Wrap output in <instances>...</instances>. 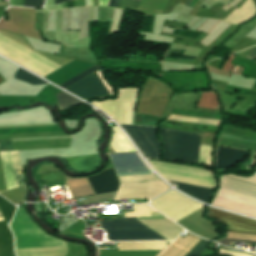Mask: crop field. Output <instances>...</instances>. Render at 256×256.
<instances>
[{"label": "crop field", "mask_w": 256, "mask_h": 256, "mask_svg": "<svg viewBox=\"0 0 256 256\" xmlns=\"http://www.w3.org/2000/svg\"><path fill=\"white\" fill-rule=\"evenodd\" d=\"M134 212L124 213L126 217L150 216V211L145 205H133Z\"/></svg>", "instance_id": "crop-field-31"}, {"label": "crop field", "mask_w": 256, "mask_h": 256, "mask_svg": "<svg viewBox=\"0 0 256 256\" xmlns=\"http://www.w3.org/2000/svg\"><path fill=\"white\" fill-rule=\"evenodd\" d=\"M56 97H57V101H58V105H59L60 109L68 108L73 105L82 103V102L74 99L73 97L65 94L64 92L57 94Z\"/></svg>", "instance_id": "crop-field-27"}, {"label": "crop field", "mask_w": 256, "mask_h": 256, "mask_svg": "<svg viewBox=\"0 0 256 256\" xmlns=\"http://www.w3.org/2000/svg\"><path fill=\"white\" fill-rule=\"evenodd\" d=\"M207 217L215 218L227 226V231L256 234V221L222 212L208 207Z\"/></svg>", "instance_id": "crop-field-11"}, {"label": "crop field", "mask_w": 256, "mask_h": 256, "mask_svg": "<svg viewBox=\"0 0 256 256\" xmlns=\"http://www.w3.org/2000/svg\"><path fill=\"white\" fill-rule=\"evenodd\" d=\"M221 251L223 254H227V255H233V256H250L244 253H239V252H235V251H231V250H227V249H223L221 248Z\"/></svg>", "instance_id": "crop-field-35"}, {"label": "crop field", "mask_w": 256, "mask_h": 256, "mask_svg": "<svg viewBox=\"0 0 256 256\" xmlns=\"http://www.w3.org/2000/svg\"><path fill=\"white\" fill-rule=\"evenodd\" d=\"M164 158L197 161L200 136L161 128Z\"/></svg>", "instance_id": "crop-field-4"}, {"label": "crop field", "mask_w": 256, "mask_h": 256, "mask_svg": "<svg viewBox=\"0 0 256 256\" xmlns=\"http://www.w3.org/2000/svg\"><path fill=\"white\" fill-rule=\"evenodd\" d=\"M150 203L151 206L175 222L202 208V205L186 198L174 190L166 193L165 195Z\"/></svg>", "instance_id": "crop-field-6"}, {"label": "crop field", "mask_w": 256, "mask_h": 256, "mask_svg": "<svg viewBox=\"0 0 256 256\" xmlns=\"http://www.w3.org/2000/svg\"><path fill=\"white\" fill-rule=\"evenodd\" d=\"M169 187L162 182L120 185L116 200L152 199L165 192Z\"/></svg>", "instance_id": "crop-field-9"}, {"label": "crop field", "mask_w": 256, "mask_h": 256, "mask_svg": "<svg viewBox=\"0 0 256 256\" xmlns=\"http://www.w3.org/2000/svg\"><path fill=\"white\" fill-rule=\"evenodd\" d=\"M120 184L160 181L154 175L118 177Z\"/></svg>", "instance_id": "crop-field-25"}, {"label": "crop field", "mask_w": 256, "mask_h": 256, "mask_svg": "<svg viewBox=\"0 0 256 256\" xmlns=\"http://www.w3.org/2000/svg\"><path fill=\"white\" fill-rule=\"evenodd\" d=\"M136 91L137 89H119L118 99L105 102L92 101L91 104L113 117L118 123L131 124Z\"/></svg>", "instance_id": "crop-field-7"}, {"label": "crop field", "mask_w": 256, "mask_h": 256, "mask_svg": "<svg viewBox=\"0 0 256 256\" xmlns=\"http://www.w3.org/2000/svg\"><path fill=\"white\" fill-rule=\"evenodd\" d=\"M120 0H114L112 7H117Z\"/></svg>", "instance_id": "crop-field-39"}, {"label": "crop field", "mask_w": 256, "mask_h": 256, "mask_svg": "<svg viewBox=\"0 0 256 256\" xmlns=\"http://www.w3.org/2000/svg\"><path fill=\"white\" fill-rule=\"evenodd\" d=\"M187 0H181L179 3L185 5Z\"/></svg>", "instance_id": "crop-field-43"}, {"label": "crop field", "mask_w": 256, "mask_h": 256, "mask_svg": "<svg viewBox=\"0 0 256 256\" xmlns=\"http://www.w3.org/2000/svg\"><path fill=\"white\" fill-rule=\"evenodd\" d=\"M65 1H68V0H54V4L62 3V2H65Z\"/></svg>", "instance_id": "crop-field-40"}, {"label": "crop field", "mask_w": 256, "mask_h": 256, "mask_svg": "<svg viewBox=\"0 0 256 256\" xmlns=\"http://www.w3.org/2000/svg\"><path fill=\"white\" fill-rule=\"evenodd\" d=\"M3 81L1 78H0V82Z\"/></svg>", "instance_id": "crop-field-46"}, {"label": "crop field", "mask_w": 256, "mask_h": 256, "mask_svg": "<svg viewBox=\"0 0 256 256\" xmlns=\"http://www.w3.org/2000/svg\"><path fill=\"white\" fill-rule=\"evenodd\" d=\"M139 220L165 219L163 217L138 218ZM143 224L164 236L168 240H174L182 231L178 225L169 220L141 221Z\"/></svg>", "instance_id": "crop-field-15"}, {"label": "crop field", "mask_w": 256, "mask_h": 256, "mask_svg": "<svg viewBox=\"0 0 256 256\" xmlns=\"http://www.w3.org/2000/svg\"><path fill=\"white\" fill-rule=\"evenodd\" d=\"M132 137L146 158L160 159L156 127L121 125Z\"/></svg>", "instance_id": "crop-field-8"}, {"label": "crop field", "mask_w": 256, "mask_h": 256, "mask_svg": "<svg viewBox=\"0 0 256 256\" xmlns=\"http://www.w3.org/2000/svg\"><path fill=\"white\" fill-rule=\"evenodd\" d=\"M168 119L169 120H177V121H185V122H193V123H201V124H209V125H217V126H220V124L222 122V121H217V120L183 117V116H175V115H170Z\"/></svg>", "instance_id": "crop-field-26"}, {"label": "crop field", "mask_w": 256, "mask_h": 256, "mask_svg": "<svg viewBox=\"0 0 256 256\" xmlns=\"http://www.w3.org/2000/svg\"><path fill=\"white\" fill-rule=\"evenodd\" d=\"M98 69H100V66H99V65H96V66H94V67L88 69L87 71H85V72H83V73L77 75L76 77H74V78L68 80L67 82H65V83H63V84H61V85H59V86H61L62 88L65 89V88L71 86L72 84H74V83H76L77 81L83 79L84 77L88 76L89 74H91L92 72H94V71H96V70H98Z\"/></svg>", "instance_id": "crop-field-30"}, {"label": "crop field", "mask_w": 256, "mask_h": 256, "mask_svg": "<svg viewBox=\"0 0 256 256\" xmlns=\"http://www.w3.org/2000/svg\"><path fill=\"white\" fill-rule=\"evenodd\" d=\"M151 216H162V215L157 212H153V213H151Z\"/></svg>", "instance_id": "crop-field-41"}, {"label": "crop field", "mask_w": 256, "mask_h": 256, "mask_svg": "<svg viewBox=\"0 0 256 256\" xmlns=\"http://www.w3.org/2000/svg\"><path fill=\"white\" fill-rule=\"evenodd\" d=\"M15 79L30 83L32 85H37V84H47L41 80H39L38 78L30 75L29 73L21 70L20 68L18 69V71L15 73L14 75Z\"/></svg>", "instance_id": "crop-field-28"}, {"label": "crop field", "mask_w": 256, "mask_h": 256, "mask_svg": "<svg viewBox=\"0 0 256 256\" xmlns=\"http://www.w3.org/2000/svg\"><path fill=\"white\" fill-rule=\"evenodd\" d=\"M5 190H6V188H5L2 165H1V160H0V192L5 191Z\"/></svg>", "instance_id": "crop-field-37"}, {"label": "crop field", "mask_w": 256, "mask_h": 256, "mask_svg": "<svg viewBox=\"0 0 256 256\" xmlns=\"http://www.w3.org/2000/svg\"><path fill=\"white\" fill-rule=\"evenodd\" d=\"M15 207L12 206L8 201L4 198L0 197V210L4 216L6 223H8L12 217L13 211Z\"/></svg>", "instance_id": "crop-field-29"}, {"label": "crop field", "mask_w": 256, "mask_h": 256, "mask_svg": "<svg viewBox=\"0 0 256 256\" xmlns=\"http://www.w3.org/2000/svg\"><path fill=\"white\" fill-rule=\"evenodd\" d=\"M218 192L211 205L256 217V174L247 178L234 175L219 177Z\"/></svg>", "instance_id": "crop-field-2"}, {"label": "crop field", "mask_w": 256, "mask_h": 256, "mask_svg": "<svg viewBox=\"0 0 256 256\" xmlns=\"http://www.w3.org/2000/svg\"><path fill=\"white\" fill-rule=\"evenodd\" d=\"M206 242V240L201 239V241L194 248H192L186 256L197 255L204 248Z\"/></svg>", "instance_id": "crop-field-33"}, {"label": "crop field", "mask_w": 256, "mask_h": 256, "mask_svg": "<svg viewBox=\"0 0 256 256\" xmlns=\"http://www.w3.org/2000/svg\"><path fill=\"white\" fill-rule=\"evenodd\" d=\"M119 251L152 250L166 248L164 241L154 242H118Z\"/></svg>", "instance_id": "crop-field-21"}, {"label": "crop field", "mask_w": 256, "mask_h": 256, "mask_svg": "<svg viewBox=\"0 0 256 256\" xmlns=\"http://www.w3.org/2000/svg\"><path fill=\"white\" fill-rule=\"evenodd\" d=\"M3 165L6 188H16L14 169L21 168L17 151L0 152Z\"/></svg>", "instance_id": "crop-field-16"}, {"label": "crop field", "mask_w": 256, "mask_h": 256, "mask_svg": "<svg viewBox=\"0 0 256 256\" xmlns=\"http://www.w3.org/2000/svg\"><path fill=\"white\" fill-rule=\"evenodd\" d=\"M0 216H2L1 213H0Z\"/></svg>", "instance_id": "crop-field-47"}, {"label": "crop field", "mask_w": 256, "mask_h": 256, "mask_svg": "<svg viewBox=\"0 0 256 256\" xmlns=\"http://www.w3.org/2000/svg\"><path fill=\"white\" fill-rule=\"evenodd\" d=\"M138 1H140V0H138Z\"/></svg>", "instance_id": "crop-field-48"}, {"label": "crop field", "mask_w": 256, "mask_h": 256, "mask_svg": "<svg viewBox=\"0 0 256 256\" xmlns=\"http://www.w3.org/2000/svg\"><path fill=\"white\" fill-rule=\"evenodd\" d=\"M198 241L188 235L178 237L160 256H184Z\"/></svg>", "instance_id": "crop-field-18"}, {"label": "crop field", "mask_w": 256, "mask_h": 256, "mask_svg": "<svg viewBox=\"0 0 256 256\" xmlns=\"http://www.w3.org/2000/svg\"><path fill=\"white\" fill-rule=\"evenodd\" d=\"M64 179L66 178L62 175L60 171L45 173L40 177V181H44V183L64 180Z\"/></svg>", "instance_id": "crop-field-32"}, {"label": "crop field", "mask_w": 256, "mask_h": 256, "mask_svg": "<svg viewBox=\"0 0 256 256\" xmlns=\"http://www.w3.org/2000/svg\"><path fill=\"white\" fill-rule=\"evenodd\" d=\"M191 1H192V0H189V1L186 3V5L188 6Z\"/></svg>", "instance_id": "crop-field-45"}, {"label": "crop field", "mask_w": 256, "mask_h": 256, "mask_svg": "<svg viewBox=\"0 0 256 256\" xmlns=\"http://www.w3.org/2000/svg\"><path fill=\"white\" fill-rule=\"evenodd\" d=\"M203 212L204 208L196 211L177 223L191 232L205 238L213 239L219 237L218 233L216 232V227L213 226V221H207L202 218Z\"/></svg>", "instance_id": "crop-field-12"}, {"label": "crop field", "mask_w": 256, "mask_h": 256, "mask_svg": "<svg viewBox=\"0 0 256 256\" xmlns=\"http://www.w3.org/2000/svg\"><path fill=\"white\" fill-rule=\"evenodd\" d=\"M118 176L152 174L137 153L110 155Z\"/></svg>", "instance_id": "crop-field-10"}, {"label": "crop field", "mask_w": 256, "mask_h": 256, "mask_svg": "<svg viewBox=\"0 0 256 256\" xmlns=\"http://www.w3.org/2000/svg\"><path fill=\"white\" fill-rule=\"evenodd\" d=\"M113 130L116 132L114 133V136L112 135L113 137V143H112V148L115 150V152H131V151H135L133 149V147L130 145V143L128 142L127 138L122 134V132L117 128V127H114ZM112 140V138H111ZM111 140H110V143H111ZM110 143H109V152L110 154H116L114 152V150L111 148L110 146Z\"/></svg>", "instance_id": "crop-field-23"}, {"label": "crop field", "mask_w": 256, "mask_h": 256, "mask_svg": "<svg viewBox=\"0 0 256 256\" xmlns=\"http://www.w3.org/2000/svg\"><path fill=\"white\" fill-rule=\"evenodd\" d=\"M88 181L94 195L114 192L119 185L113 169L105 170L99 175L88 177Z\"/></svg>", "instance_id": "crop-field-14"}, {"label": "crop field", "mask_w": 256, "mask_h": 256, "mask_svg": "<svg viewBox=\"0 0 256 256\" xmlns=\"http://www.w3.org/2000/svg\"><path fill=\"white\" fill-rule=\"evenodd\" d=\"M0 6H8V2H0Z\"/></svg>", "instance_id": "crop-field-42"}, {"label": "crop field", "mask_w": 256, "mask_h": 256, "mask_svg": "<svg viewBox=\"0 0 256 256\" xmlns=\"http://www.w3.org/2000/svg\"><path fill=\"white\" fill-rule=\"evenodd\" d=\"M68 189L73 198L93 195L86 177L68 180Z\"/></svg>", "instance_id": "crop-field-22"}, {"label": "crop field", "mask_w": 256, "mask_h": 256, "mask_svg": "<svg viewBox=\"0 0 256 256\" xmlns=\"http://www.w3.org/2000/svg\"><path fill=\"white\" fill-rule=\"evenodd\" d=\"M179 0H169L163 12H171Z\"/></svg>", "instance_id": "crop-field-36"}, {"label": "crop field", "mask_w": 256, "mask_h": 256, "mask_svg": "<svg viewBox=\"0 0 256 256\" xmlns=\"http://www.w3.org/2000/svg\"><path fill=\"white\" fill-rule=\"evenodd\" d=\"M247 58L255 60V58H256V48H253V50L250 52V54L248 55Z\"/></svg>", "instance_id": "crop-field-38"}, {"label": "crop field", "mask_w": 256, "mask_h": 256, "mask_svg": "<svg viewBox=\"0 0 256 256\" xmlns=\"http://www.w3.org/2000/svg\"><path fill=\"white\" fill-rule=\"evenodd\" d=\"M149 163L153 166V168L163 177L172 178L182 181H188L198 184H204L213 186L215 185V181L212 177L210 171L201 170L192 167L150 161ZM168 181L177 185L176 188L182 190L183 192L196 197L202 201L207 202L209 197H211L212 187L203 186L193 183H187L177 180L167 179ZM169 182V183H170Z\"/></svg>", "instance_id": "crop-field-3"}, {"label": "crop field", "mask_w": 256, "mask_h": 256, "mask_svg": "<svg viewBox=\"0 0 256 256\" xmlns=\"http://www.w3.org/2000/svg\"><path fill=\"white\" fill-rule=\"evenodd\" d=\"M245 154V151L218 147L216 168L227 169L230 166H234L238 161L244 158Z\"/></svg>", "instance_id": "crop-field-17"}, {"label": "crop field", "mask_w": 256, "mask_h": 256, "mask_svg": "<svg viewBox=\"0 0 256 256\" xmlns=\"http://www.w3.org/2000/svg\"><path fill=\"white\" fill-rule=\"evenodd\" d=\"M44 0H24V6L27 7H42Z\"/></svg>", "instance_id": "crop-field-34"}, {"label": "crop field", "mask_w": 256, "mask_h": 256, "mask_svg": "<svg viewBox=\"0 0 256 256\" xmlns=\"http://www.w3.org/2000/svg\"><path fill=\"white\" fill-rule=\"evenodd\" d=\"M83 99L110 95L95 73L65 89Z\"/></svg>", "instance_id": "crop-field-13"}, {"label": "crop field", "mask_w": 256, "mask_h": 256, "mask_svg": "<svg viewBox=\"0 0 256 256\" xmlns=\"http://www.w3.org/2000/svg\"><path fill=\"white\" fill-rule=\"evenodd\" d=\"M112 2H113V0H110V2H109V5H108V6H110V7H111V5H112Z\"/></svg>", "instance_id": "crop-field-44"}, {"label": "crop field", "mask_w": 256, "mask_h": 256, "mask_svg": "<svg viewBox=\"0 0 256 256\" xmlns=\"http://www.w3.org/2000/svg\"><path fill=\"white\" fill-rule=\"evenodd\" d=\"M254 13H255V8L252 4V1L247 0L239 10L235 9L230 15H228L224 19V21L232 25H237L239 23L246 21Z\"/></svg>", "instance_id": "crop-field-19"}, {"label": "crop field", "mask_w": 256, "mask_h": 256, "mask_svg": "<svg viewBox=\"0 0 256 256\" xmlns=\"http://www.w3.org/2000/svg\"><path fill=\"white\" fill-rule=\"evenodd\" d=\"M227 237L229 238H238V239H248V240H256L255 235H247V234H239V233H231L227 232ZM229 238H224L222 240H219L217 242L230 246L232 242H241V243H254L256 244V241H248V240H238V239H229Z\"/></svg>", "instance_id": "crop-field-24"}, {"label": "crop field", "mask_w": 256, "mask_h": 256, "mask_svg": "<svg viewBox=\"0 0 256 256\" xmlns=\"http://www.w3.org/2000/svg\"><path fill=\"white\" fill-rule=\"evenodd\" d=\"M109 240H165L133 218H122L99 223Z\"/></svg>", "instance_id": "crop-field-5"}, {"label": "crop field", "mask_w": 256, "mask_h": 256, "mask_svg": "<svg viewBox=\"0 0 256 256\" xmlns=\"http://www.w3.org/2000/svg\"><path fill=\"white\" fill-rule=\"evenodd\" d=\"M1 220H3L2 217H0ZM0 256H15L12 236L4 221L0 222Z\"/></svg>", "instance_id": "crop-field-20"}, {"label": "crop field", "mask_w": 256, "mask_h": 256, "mask_svg": "<svg viewBox=\"0 0 256 256\" xmlns=\"http://www.w3.org/2000/svg\"><path fill=\"white\" fill-rule=\"evenodd\" d=\"M17 210V209H16ZM15 249L66 246L65 242L47 236L36 227L23 208L17 210L10 223ZM67 247L15 250L17 256H65Z\"/></svg>", "instance_id": "crop-field-1"}]
</instances>
